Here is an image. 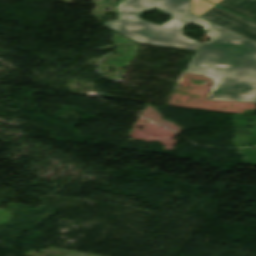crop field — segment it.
<instances>
[{
    "label": "crop field",
    "mask_w": 256,
    "mask_h": 256,
    "mask_svg": "<svg viewBox=\"0 0 256 256\" xmlns=\"http://www.w3.org/2000/svg\"><path fill=\"white\" fill-rule=\"evenodd\" d=\"M246 18L252 19V20H256V12L246 16Z\"/></svg>",
    "instance_id": "crop-field-6"
},
{
    "label": "crop field",
    "mask_w": 256,
    "mask_h": 256,
    "mask_svg": "<svg viewBox=\"0 0 256 256\" xmlns=\"http://www.w3.org/2000/svg\"><path fill=\"white\" fill-rule=\"evenodd\" d=\"M209 1H211V2H213V3H215V4H217V3L220 2L221 0H209Z\"/></svg>",
    "instance_id": "crop-field-7"
},
{
    "label": "crop field",
    "mask_w": 256,
    "mask_h": 256,
    "mask_svg": "<svg viewBox=\"0 0 256 256\" xmlns=\"http://www.w3.org/2000/svg\"><path fill=\"white\" fill-rule=\"evenodd\" d=\"M226 29L237 33L243 37H246L254 42H256V23L249 21L245 18L237 21Z\"/></svg>",
    "instance_id": "crop-field-4"
},
{
    "label": "crop field",
    "mask_w": 256,
    "mask_h": 256,
    "mask_svg": "<svg viewBox=\"0 0 256 256\" xmlns=\"http://www.w3.org/2000/svg\"><path fill=\"white\" fill-rule=\"evenodd\" d=\"M213 6L215 5L205 0H191V12L198 16L202 15Z\"/></svg>",
    "instance_id": "crop-field-5"
},
{
    "label": "crop field",
    "mask_w": 256,
    "mask_h": 256,
    "mask_svg": "<svg viewBox=\"0 0 256 256\" xmlns=\"http://www.w3.org/2000/svg\"><path fill=\"white\" fill-rule=\"evenodd\" d=\"M154 7L173 19L160 26L139 18L142 11ZM118 10L120 20L107 22L105 26L140 44L197 50L200 43L183 35L181 29L189 23L205 30L210 25V22L190 13V0H125Z\"/></svg>",
    "instance_id": "crop-field-2"
},
{
    "label": "crop field",
    "mask_w": 256,
    "mask_h": 256,
    "mask_svg": "<svg viewBox=\"0 0 256 256\" xmlns=\"http://www.w3.org/2000/svg\"><path fill=\"white\" fill-rule=\"evenodd\" d=\"M218 5L244 17L256 11V0H224ZM201 17L223 28L242 18L218 6L213 7Z\"/></svg>",
    "instance_id": "crop-field-3"
},
{
    "label": "crop field",
    "mask_w": 256,
    "mask_h": 256,
    "mask_svg": "<svg viewBox=\"0 0 256 256\" xmlns=\"http://www.w3.org/2000/svg\"><path fill=\"white\" fill-rule=\"evenodd\" d=\"M207 34L186 72L214 80L207 99L256 102V43L213 23Z\"/></svg>",
    "instance_id": "crop-field-1"
}]
</instances>
